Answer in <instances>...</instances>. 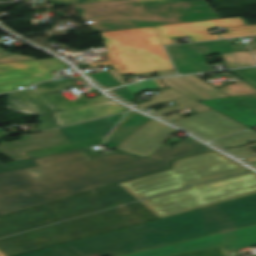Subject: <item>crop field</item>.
<instances>
[{"label":"crop field","instance_id":"obj_1","mask_svg":"<svg viewBox=\"0 0 256 256\" xmlns=\"http://www.w3.org/2000/svg\"><path fill=\"white\" fill-rule=\"evenodd\" d=\"M208 150L188 137L147 158L124 151L90 158L80 149L35 159L39 167L0 174V215L167 169L171 159Z\"/></svg>","mask_w":256,"mask_h":256},{"label":"crop field","instance_id":"obj_2","mask_svg":"<svg viewBox=\"0 0 256 256\" xmlns=\"http://www.w3.org/2000/svg\"><path fill=\"white\" fill-rule=\"evenodd\" d=\"M256 225V194L20 256H121Z\"/></svg>","mask_w":256,"mask_h":256},{"label":"crop field","instance_id":"obj_3","mask_svg":"<svg viewBox=\"0 0 256 256\" xmlns=\"http://www.w3.org/2000/svg\"><path fill=\"white\" fill-rule=\"evenodd\" d=\"M74 6L84 21L98 23L87 24L94 33L221 19L205 1L145 8H141L137 0Z\"/></svg>","mask_w":256,"mask_h":256},{"label":"crop field","instance_id":"obj_4","mask_svg":"<svg viewBox=\"0 0 256 256\" xmlns=\"http://www.w3.org/2000/svg\"><path fill=\"white\" fill-rule=\"evenodd\" d=\"M248 170L241 164L212 151L175 160L172 169L119 185L140 200L181 189L192 183Z\"/></svg>","mask_w":256,"mask_h":256},{"label":"crop field","instance_id":"obj_5","mask_svg":"<svg viewBox=\"0 0 256 256\" xmlns=\"http://www.w3.org/2000/svg\"><path fill=\"white\" fill-rule=\"evenodd\" d=\"M100 34L107 61L88 67L113 64L122 75L174 70L153 27Z\"/></svg>","mask_w":256,"mask_h":256},{"label":"crop field","instance_id":"obj_6","mask_svg":"<svg viewBox=\"0 0 256 256\" xmlns=\"http://www.w3.org/2000/svg\"><path fill=\"white\" fill-rule=\"evenodd\" d=\"M256 193V173L192 186L187 190L141 201L161 218Z\"/></svg>","mask_w":256,"mask_h":256},{"label":"crop field","instance_id":"obj_7","mask_svg":"<svg viewBox=\"0 0 256 256\" xmlns=\"http://www.w3.org/2000/svg\"><path fill=\"white\" fill-rule=\"evenodd\" d=\"M180 244V243H179ZM256 245V226L220 233L180 245L164 246L125 256H173L222 246L227 252Z\"/></svg>","mask_w":256,"mask_h":256},{"label":"crop field","instance_id":"obj_8","mask_svg":"<svg viewBox=\"0 0 256 256\" xmlns=\"http://www.w3.org/2000/svg\"><path fill=\"white\" fill-rule=\"evenodd\" d=\"M166 48L180 74L209 71L203 55L249 51L246 44L233 46L230 39Z\"/></svg>","mask_w":256,"mask_h":256},{"label":"crop field","instance_id":"obj_9","mask_svg":"<svg viewBox=\"0 0 256 256\" xmlns=\"http://www.w3.org/2000/svg\"><path fill=\"white\" fill-rule=\"evenodd\" d=\"M173 122L192 130L209 140L248 128L214 109L178 119Z\"/></svg>","mask_w":256,"mask_h":256},{"label":"crop field","instance_id":"obj_10","mask_svg":"<svg viewBox=\"0 0 256 256\" xmlns=\"http://www.w3.org/2000/svg\"><path fill=\"white\" fill-rule=\"evenodd\" d=\"M249 25L241 17L154 27L162 44H174L171 37L189 36L192 42L219 39L218 35L209 36L206 28L224 26L225 28Z\"/></svg>","mask_w":256,"mask_h":256},{"label":"crop field","instance_id":"obj_11","mask_svg":"<svg viewBox=\"0 0 256 256\" xmlns=\"http://www.w3.org/2000/svg\"><path fill=\"white\" fill-rule=\"evenodd\" d=\"M178 130L152 119L116 149L147 157Z\"/></svg>","mask_w":256,"mask_h":256},{"label":"crop field","instance_id":"obj_12","mask_svg":"<svg viewBox=\"0 0 256 256\" xmlns=\"http://www.w3.org/2000/svg\"><path fill=\"white\" fill-rule=\"evenodd\" d=\"M20 138L21 140L1 144L0 153L6 155L12 161H16L30 158L24 154L25 152L69 142L58 129L33 135L20 136Z\"/></svg>","mask_w":256,"mask_h":256},{"label":"crop field","instance_id":"obj_13","mask_svg":"<svg viewBox=\"0 0 256 256\" xmlns=\"http://www.w3.org/2000/svg\"><path fill=\"white\" fill-rule=\"evenodd\" d=\"M67 68L59 59H41L0 64V84Z\"/></svg>","mask_w":256,"mask_h":256},{"label":"crop field","instance_id":"obj_14","mask_svg":"<svg viewBox=\"0 0 256 256\" xmlns=\"http://www.w3.org/2000/svg\"><path fill=\"white\" fill-rule=\"evenodd\" d=\"M130 110L122 105H119L111 100L82 107L77 109H72L68 111L53 113L54 120L58 127L64 125L100 118L115 113Z\"/></svg>","mask_w":256,"mask_h":256},{"label":"crop field","instance_id":"obj_15","mask_svg":"<svg viewBox=\"0 0 256 256\" xmlns=\"http://www.w3.org/2000/svg\"><path fill=\"white\" fill-rule=\"evenodd\" d=\"M161 81L169 88H173L197 101L228 97L194 75L163 78Z\"/></svg>","mask_w":256,"mask_h":256},{"label":"crop field","instance_id":"obj_16","mask_svg":"<svg viewBox=\"0 0 256 256\" xmlns=\"http://www.w3.org/2000/svg\"><path fill=\"white\" fill-rule=\"evenodd\" d=\"M6 96L7 107L11 106L16 111L31 108L41 115L58 110L37 88L7 93Z\"/></svg>","mask_w":256,"mask_h":256},{"label":"crop field","instance_id":"obj_17","mask_svg":"<svg viewBox=\"0 0 256 256\" xmlns=\"http://www.w3.org/2000/svg\"><path fill=\"white\" fill-rule=\"evenodd\" d=\"M122 115L61 128L60 131L70 142L106 135Z\"/></svg>","mask_w":256,"mask_h":256},{"label":"crop field","instance_id":"obj_18","mask_svg":"<svg viewBox=\"0 0 256 256\" xmlns=\"http://www.w3.org/2000/svg\"><path fill=\"white\" fill-rule=\"evenodd\" d=\"M150 120L151 118H147L141 114H134L125 123L113 131V133L104 143V146L112 148L117 147Z\"/></svg>","mask_w":256,"mask_h":256},{"label":"crop field","instance_id":"obj_19","mask_svg":"<svg viewBox=\"0 0 256 256\" xmlns=\"http://www.w3.org/2000/svg\"><path fill=\"white\" fill-rule=\"evenodd\" d=\"M106 136H101V137H97V138L68 143V144H64V145H60V146H55V147H51V148H46V149H42V150H38V151L29 152L26 154L29 155L32 159H35V158H39V157L56 154V153L80 149V148L100 144L103 142V140L106 138Z\"/></svg>","mask_w":256,"mask_h":256},{"label":"crop field","instance_id":"obj_20","mask_svg":"<svg viewBox=\"0 0 256 256\" xmlns=\"http://www.w3.org/2000/svg\"><path fill=\"white\" fill-rule=\"evenodd\" d=\"M44 96L50 102H52L60 111L77 108V107H82V106L102 102L105 100H109L108 98H106L104 96L93 98V99H85L84 97L80 96L75 101H70L62 94L50 93V94H45Z\"/></svg>","mask_w":256,"mask_h":256},{"label":"crop field","instance_id":"obj_21","mask_svg":"<svg viewBox=\"0 0 256 256\" xmlns=\"http://www.w3.org/2000/svg\"><path fill=\"white\" fill-rule=\"evenodd\" d=\"M51 4H58L60 6L69 5V4H83L99 1H108V0H48ZM199 0H138L141 7L160 5V4H170V3H182V2H192Z\"/></svg>","mask_w":256,"mask_h":256},{"label":"crop field","instance_id":"obj_22","mask_svg":"<svg viewBox=\"0 0 256 256\" xmlns=\"http://www.w3.org/2000/svg\"><path fill=\"white\" fill-rule=\"evenodd\" d=\"M253 140H256V132L249 129V130L216 140L214 141V143L222 147H226V146H233V145L248 143Z\"/></svg>","mask_w":256,"mask_h":256},{"label":"crop field","instance_id":"obj_23","mask_svg":"<svg viewBox=\"0 0 256 256\" xmlns=\"http://www.w3.org/2000/svg\"><path fill=\"white\" fill-rule=\"evenodd\" d=\"M230 69L256 65L250 52L223 54Z\"/></svg>","mask_w":256,"mask_h":256},{"label":"crop field","instance_id":"obj_24","mask_svg":"<svg viewBox=\"0 0 256 256\" xmlns=\"http://www.w3.org/2000/svg\"><path fill=\"white\" fill-rule=\"evenodd\" d=\"M174 102L178 103L177 107H167V108H164L161 110L154 111L153 113L163 116V115H166V114H169V113H172L175 111H179V110H182V109H185L188 107H190L196 113L200 112V111L207 110V109H211V108H209L199 102H196L188 97L181 99V100L174 101Z\"/></svg>","mask_w":256,"mask_h":256},{"label":"crop field","instance_id":"obj_25","mask_svg":"<svg viewBox=\"0 0 256 256\" xmlns=\"http://www.w3.org/2000/svg\"><path fill=\"white\" fill-rule=\"evenodd\" d=\"M184 97H186V96L176 92L173 89H169V90L161 91L160 94H158V95L152 96V98H154V100L139 104L138 106H140L144 109H147V108H151V107L161 105V104H164L167 102H171V101H174L177 99H181Z\"/></svg>","mask_w":256,"mask_h":256},{"label":"crop field","instance_id":"obj_26","mask_svg":"<svg viewBox=\"0 0 256 256\" xmlns=\"http://www.w3.org/2000/svg\"><path fill=\"white\" fill-rule=\"evenodd\" d=\"M52 78H53L52 74L49 73V74H45V75H41V76L29 78V79L18 80V81H14V82H10V83L1 84L0 92L1 93L10 92V91L16 90L17 89L16 87H19V86H22L25 88L35 82L49 80Z\"/></svg>","mask_w":256,"mask_h":256},{"label":"crop field","instance_id":"obj_27","mask_svg":"<svg viewBox=\"0 0 256 256\" xmlns=\"http://www.w3.org/2000/svg\"><path fill=\"white\" fill-rule=\"evenodd\" d=\"M218 89L230 97L237 96V95L256 93V88L245 83L244 81L238 82V83H235L232 85H228V86H225L222 88H218Z\"/></svg>","mask_w":256,"mask_h":256},{"label":"crop field","instance_id":"obj_28","mask_svg":"<svg viewBox=\"0 0 256 256\" xmlns=\"http://www.w3.org/2000/svg\"><path fill=\"white\" fill-rule=\"evenodd\" d=\"M42 94L55 92L59 90L73 88L74 86L70 82H58V81H48L44 83L37 84L36 86Z\"/></svg>","mask_w":256,"mask_h":256},{"label":"crop field","instance_id":"obj_29","mask_svg":"<svg viewBox=\"0 0 256 256\" xmlns=\"http://www.w3.org/2000/svg\"><path fill=\"white\" fill-rule=\"evenodd\" d=\"M36 166H37V164L32 159L16 161V162H9V163H1L0 162V173L24 169V168L36 167Z\"/></svg>","mask_w":256,"mask_h":256},{"label":"crop field","instance_id":"obj_30","mask_svg":"<svg viewBox=\"0 0 256 256\" xmlns=\"http://www.w3.org/2000/svg\"><path fill=\"white\" fill-rule=\"evenodd\" d=\"M89 76L96 80L98 84L102 85L106 89L121 85L107 71L90 74Z\"/></svg>","mask_w":256,"mask_h":256},{"label":"crop field","instance_id":"obj_31","mask_svg":"<svg viewBox=\"0 0 256 256\" xmlns=\"http://www.w3.org/2000/svg\"><path fill=\"white\" fill-rule=\"evenodd\" d=\"M227 31L228 34L221 35L222 38L254 35L256 34V26L231 28Z\"/></svg>","mask_w":256,"mask_h":256},{"label":"crop field","instance_id":"obj_32","mask_svg":"<svg viewBox=\"0 0 256 256\" xmlns=\"http://www.w3.org/2000/svg\"><path fill=\"white\" fill-rule=\"evenodd\" d=\"M230 72L256 87V68L232 70Z\"/></svg>","mask_w":256,"mask_h":256},{"label":"crop field","instance_id":"obj_33","mask_svg":"<svg viewBox=\"0 0 256 256\" xmlns=\"http://www.w3.org/2000/svg\"><path fill=\"white\" fill-rule=\"evenodd\" d=\"M178 256H230L222 247L198 251Z\"/></svg>","mask_w":256,"mask_h":256},{"label":"crop field","instance_id":"obj_34","mask_svg":"<svg viewBox=\"0 0 256 256\" xmlns=\"http://www.w3.org/2000/svg\"><path fill=\"white\" fill-rule=\"evenodd\" d=\"M32 59H35V58L8 53L0 49V63L24 61V60H32Z\"/></svg>","mask_w":256,"mask_h":256},{"label":"crop field","instance_id":"obj_35","mask_svg":"<svg viewBox=\"0 0 256 256\" xmlns=\"http://www.w3.org/2000/svg\"><path fill=\"white\" fill-rule=\"evenodd\" d=\"M129 91H131L134 95L146 90H154L156 89L153 85H151L148 81H142L139 83H135L129 86H125Z\"/></svg>","mask_w":256,"mask_h":256},{"label":"crop field","instance_id":"obj_36","mask_svg":"<svg viewBox=\"0 0 256 256\" xmlns=\"http://www.w3.org/2000/svg\"><path fill=\"white\" fill-rule=\"evenodd\" d=\"M37 119L43 122L42 124L38 125V129L40 131L57 127L51 114L39 116Z\"/></svg>","mask_w":256,"mask_h":256},{"label":"crop field","instance_id":"obj_37","mask_svg":"<svg viewBox=\"0 0 256 256\" xmlns=\"http://www.w3.org/2000/svg\"><path fill=\"white\" fill-rule=\"evenodd\" d=\"M256 146V143L255 144H251V145H247V146H243V147H238V148H226L227 150L237 154L238 156L244 158L246 156H250V155H253L255 154L254 151L250 150L249 148L251 147H255Z\"/></svg>","mask_w":256,"mask_h":256},{"label":"crop field","instance_id":"obj_38","mask_svg":"<svg viewBox=\"0 0 256 256\" xmlns=\"http://www.w3.org/2000/svg\"><path fill=\"white\" fill-rule=\"evenodd\" d=\"M110 92L114 93L118 97H120V98H122L124 100H127V101H129L131 103H133V101L136 99V96H134L131 92H129L124 87L118 88V89H114V90H110Z\"/></svg>","mask_w":256,"mask_h":256},{"label":"crop field","instance_id":"obj_39","mask_svg":"<svg viewBox=\"0 0 256 256\" xmlns=\"http://www.w3.org/2000/svg\"><path fill=\"white\" fill-rule=\"evenodd\" d=\"M115 79H117L122 85L126 84V82L124 81L125 78L120 75L117 70L113 69V70H109L108 71Z\"/></svg>","mask_w":256,"mask_h":256},{"label":"crop field","instance_id":"obj_40","mask_svg":"<svg viewBox=\"0 0 256 256\" xmlns=\"http://www.w3.org/2000/svg\"><path fill=\"white\" fill-rule=\"evenodd\" d=\"M158 77L177 75L175 71L157 73Z\"/></svg>","mask_w":256,"mask_h":256},{"label":"crop field","instance_id":"obj_41","mask_svg":"<svg viewBox=\"0 0 256 256\" xmlns=\"http://www.w3.org/2000/svg\"><path fill=\"white\" fill-rule=\"evenodd\" d=\"M165 119H168L170 121L174 120V119H178V118H182L181 116L175 114V115H171V116H168V117H164ZM175 121V120H174Z\"/></svg>","mask_w":256,"mask_h":256},{"label":"crop field","instance_id":"obj_42","mask_svg":"<svg viewBox=\"0 0 256 256\" xmlns=\"http://www.w3.org/2000/svg\"><path fill=\"white\" fill-rule=\"evenodd\" d=\"M133 114H134V112L127 113V115L122 119V121L119 123V125H121L124 121H126Z\"/></svg>","mask_w":256,"mask_h":256},{"label":"crop field","instance_id":"obj_43","mask_svg":"<svg viewBox=\"0 0 256 256\" xmlns=\"http://www.w3.org/2000/svg\"><path fill=\"white\" fill-rule=\"evenodd\" d=\"M255 44H249L252 50H256V37H253Z\"/></svg>","mask_w":256,"mask_h":256},{"label":"crop field","instance_id":"obj_44","mask_svg":"<svg viewBox=\"0 0 256 256\" xmlns=\"http://www.w3.org/2000/svg\"><path fill=\"white\" fill-rule=\"evenodd\" d=\"M246 160L252 162V163H255L256 162V156L254 157H250V158H246Z\"/></svg>","mask_w":256,"mask_h":256},{"label":"crop field","instance_id":"obj_45","mask_svg":"<svg viewBox=\"0 0 256 256\" xmlns=\"http://www.w3.org/2000/svg\"><path fill=\"white\" fill-rule=\"evenodd\" d=\"M7 135H8V133H3V134H0V137L7 136Z\"/></svg>","mask_w":256,"mask_h":256},{"label":"crop field","instance_id":"obj_46","mask_svg":"<svg viewBox=\"0 0 256 256\" xmlns=\"http://www.w3.org/2000/svg\"><path fill=\"white\" fill-rule=\"evenodd\" d=\"M4 131H3V129L2 128H0V133H3Z\"/></svg>","mask_w":256,"mask_h":256},{"label":"crop field","instance_id":"obj_47","mask_svg":"<svg viewBox=\"0 0 256 256\" xmlns=\"http://www.w3.org/2000/svg\"><path fill=\"white\" fill-rule=\"evenodd\" d=\"M0 256H5L2 252H0Z\"/></svg>","mask_w":256,"mask_h":256},{"label":"crop field","instance_id":"obj_48","mask_svg":"<svg viewBox=\"0 0 256 256\" xmlns=\"http://www.w3.org/2000/svg\"><path fill=\"white\" fill-rule=\"evenodd\" d=\"M254 52V54H255V56H256V51H253Z\"/></svg>","mask_w":256,"mask_h":256},{"label":"crop field","instance_id":"obj_49","mask_svg":"<svg viewBox=\"0 0 256 256\" xmlns=\"http://www.w3.org/2000/svg\"><path fill=\"white\" fill-rule=\"evenodd\" d=\"M256 165V164H255Z\"/></svg>","mask_w":256,"mask_h":256},{"label":"crop field","instance_id":"obj_50","mask_svg":"<svg viewBox=\"0 0 256 256\" xmlns=\"http://www.w3.org/2000/svg\"><path fill=\"white\" fill-rule=\"evenodd\" d=\"M256 256V255H255Z\"/></svg>","mask_w":256,"mask_h":256}]
</instances>
